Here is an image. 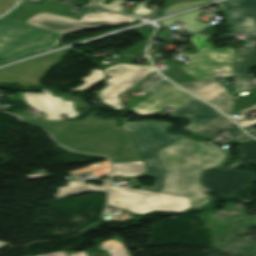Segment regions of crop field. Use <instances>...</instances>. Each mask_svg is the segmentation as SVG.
Wrapping results in <instances>:
<instances>
[{
    "instance_id": "crop-field-7",
    "label": "crop field",
    "mask_w": 256,
    "mask_h": 256,
    "mask_svg": "<svg viewBox=\"0 0 256 256\" xmlns=\"http://www.w3.org/2000/svg\"><path fill=\"white\" fill-rule=\"evenodd\" d=\"M104 70L106 75L110 76V78L106 80V88L99 90L96 93L101 102L116 110L122 109L117 96L154 71L152 66L122 63H117Z\"/></svg>"
},
{
    "instance_id": "crop-field-38",
    "label": "crop field",
    "mask_w": 256,
    "mask_h": 256,
    "mask_svg": "<svg viewBox=\"0 0 256 256\" xmlns=\"http://www.w3.org/2000/svg\"><path fill=\"white\" fill-rule=\"evenodd\" d=\"M166 82H168V81L162 80V81H160L159 83H157L155 86H153L152 88H150L148 91L153 92V91H155L156 89H158L160 86H162L163 84H165Z\"/></svg>"
},
{
    "instance_id": "crop-field-36",
    "label": "crop field",
    "mask_w": 256,
    "mask_h": 256,
    "mask_svg": "<svg viewBox=\"0 0 256 256\" xmlns=\"http://www.w3.org/2000/svg\"><path fill=\"white\" fill-rule=\"evenodd\" d=\"M97 123L99 124L98 127L91 128V129H87V130H88V131H92V130H98V129L107 128V122H106V121H97Z\"/></svg>"
},
{
    "instance_id": "crop-field-21",
    "label": "crop field",
    "mask_w": 256,
    "mask_h": 256,
    "mask_svg": "<svg viewBox=\"0 0 256 256\" xmlns=\"http://www.w3.org/2000/svg\"><path fill=\"white\" fill-rule=\"evenodd\" d=\"M240 156L236 159V163L254 162L256 163V140L253 139L247 143L240 144L238 147Z\"/></svg>"
},
{
    "instance_id": "crop-field-14",
    "label": "crop field",
    "mask_w": 256,
    "mask_h": 256,
    "mask_svg": "<svg viewBox=\"0 0 256 256\" xmlns=\"http://www.w3.org/2000/svg\"><path fill=\"white\" fill-rule=\"evenodd\" d=\"M91 180H79V181H70L68 187H60L57 189L58 193L53 195L55 198L67 197L75 194L82 193L84 191H97V192H106L109 179H101L97 181L103 182L102 186H94L92 184H85V182Z\"/></svg>"
},
{
    "instance_id": "crop-field-2",
    "label": "crop field",
    "mask_w": 256,
    "mask_h": 256,
    "mask_svg": "<svg viewBox=\"0 0 256 256\" xmlns=\"http://www.w3.org/2000/svg\"><path fill=\"white\" fill-rule=\"evenodd\" d=\"M22 121L49 131L66 148L80 152L105 154L112 162L140 160L125 129L115 128L116 120L108 119V129L88 132L98 124L93 116L82 121H47L20 117Z\"/></svg>"
},
{
    "instance_id": "crop-field-4",
    "label": "crop field",
    "mask_w": 256,
    "mask_h": 256,
    "mask_svg": "<svg viewBox=\"0 0 256 256\" xmlns=\"http://www.w3.org/2000/svg\"><path fill=\"white\" fill-rule=\"evenodd\" d=\"M126 124L143 160L150 170L141 175L146 177L153 176L156 180L153 187L147 188L141 186L140 189L161 192L165 170L161 166L156 151L175 141L182 135L166 133L165 128L170 124L164 122L139 121Z\"/></svg>"
},
{
    "instance_id": "crop-field-30",
    "label": "crop field",
    "mask_w": 256,
    "mask_h": 256,
    "mask_svg": "<svg viewBox=\"0 0 256 256\" xmlns=\"http://www.w3.org/2000/svg\"><path fill=\"white\" fill-rule=\"evenodd\" d=\"M209 36L193 35L190 39L196 50L212 47L211 42H206L205 39ZM189 40V41H190Z\"/></svg>"
},
{
    "instance_id": "crop-field-44",
    "label": "crop field",
    "mask_w": 256,
    "mask_h": 256,
    "mask_svg": "<svg viewBox=\"0 0 256 256\" xmlns=\"http://www.w3.org/2000/svg\"><path fill=\"white\" fill-rule=\"evenodd\" d=\"M253 67H256V54H255V58H254V61H253Z\"/></svg>"
},
{
    "instance_id": "crop-field-1",
    "label": "crop field",
    "mask_w": 256,
    "mask_h": 256,
    "mask_svg": "<svg viewBox=\"0 0 256 256\" xmlns=\"http://www.w3.org/2000/svg\"><path fill=\"white\" fill-rule=\"evenodd\" d=\"M157 154L166 170L162 193L189 197L191 208H199L212 197V190L198 184L202 169L221 163L224 152L203 142L179 138Z\"/></svg>"
},
{
    "instance_id": "crop-field-39",
    "label": "crop field",
    "mask_w": 256,
    "mask_h": 256,
    "mask_svg": "<svg viewBox=\"0 0 256 256\" xmlns=\"http://www.w3.org/2000/svg\"><path fill=\"white\" fill-rule=\"evenodd\" d=\"M217 77H223V76H231L234 75L233 72H224V73H214Z\"/></svg>"
},
{
    "instance_id": "crop-field-25",
    "label": "crop field",
    "mask_w": 256,
    "mask_h": 256,
    "mask_svg": "<svg viewBox=\"0 0 256 256\" xmlns=\"http://www.w3.org/2000/svg\"><path fill=\"white\" fill-rule=\"evenodd\" d=\"M161 73L176 83L195 79L179 67L161 71Z\"/></svg>"
},
{
    "instance_id": "crop-field-29",
    "label": "crop field",
    "mask_w": 256,
    "mask_h": 256,
    "mask_svg": "<svg viewBox=\"0 0 256 256\" xmlns=\"http://www.w3.org/2000/svg\"><path fill=\"white\" fill-rule=\"evenodd\" d=\"M231 100H232V98L227 92L210 103L216 105L220 110H222L224 113L228 114Z\"/></svg>"
},
{
    "instance_id": "crop-field-45",
    "label": "crop field",
    "mask_w": 256,
    "mask_h": 256,
    "mask_svg": "<svg viewBox=\"0 0 256 256\" xmlns=\"http://www.w3.org/2000/svg\"><path fill=\"white\" fill-rule=\"evenodd\" d=\"M247 133H250L251 135L255 136L256 137V131H253V132H247Z\"/></svg>"
},
{
    "instance_id": "crop-field-22",
    "label": "crop field",
    "mask_w": 256,
    "mask_h": 256,
    "mask_svg": "<svg viewBox=\"0 0 256 256\" xmlns=\"http://www.w3.org/2000/svg\"><path fill=\"white\" fill-rule=\"evenodd\" d=\"M152 28L151 27H146V28H142V29H138L136 30L137 33H139L140 35H142L145 40L136 44L135 46L124 50L123 52H121V54H131V55H135V56H145L144 54V49L145 46L151 36V32H152Z\"/></svg>"
},
{
    "instance_id": "crop-field-33",
    "label": "crop field",
    "mask_w": 256,
    "mask_h": 256,
    "mask_svg": "<svg viewBox=\"0 0 256 256\" xmlns=\"http://www.w3.org/2000/svg\"><path fill=\"white\" fill-rule=\"evenodd\" d=\"M160 78H162L160 75H158L157 73L154 74L152 77H150L149 79H147L146 81H144L142 84H140L137 87H140L142 89H147L149 86H151L153 83H155L156 81H158Z\"/></svg>"
},
{
    "instance_id": "crop-field-31",
    "label": "crop field",
    "mask_w": 256,
    "mask_h": 256,
    "mask_svg": "<svg viewBox=\"0 0 256 256\" xmlns=\"http://www.w3.org/2000/svg\"><path fill=\"white\" fill-rule=\"evenodd\" d=\"M238 91L243 92L245 90L256 87V78H242L237 79Z\"/></svg>"
},
{
    "instance_id": "crop-field-46",
    "label": "crop field",
    "mask_w": 256,
    "mask_h": 256,
    "mask_svg": "<svg viewBox=\"0 0 256 256\" xmlns=\"http://www.w3.org/2000/svg\"><path fill=\"white\" fill-rule=\"evenodd\" d=\"M162 14H163V12H162V13L155 14L153 17L159 16V15H162Z\"/></svg>"
},
{
    "instance_id": "crop-field-26",
    "label": "crop field",
    "mask_w": 256,
    "mask_h": 256,
    "mask_svg": "<svg viewBox=\"0 0 256 256\" xmlns=\"http://www.w3.org/2000/svg\"><path fill=\"white\" fill-rule=\"evenodd\" d=\"M219 84H221L219 80L216 77H213V78L179 83L178 85L187 90H191V89H197V88L208 87V86L219 85Z\"/></svg>"
},
{
    "instance_id": "crop-field-34",
    "label": "crop field",
    "mask_w": 256,
    "mask_h": 256,
    "mask_svg": "<svg viewBox=\"0 0 256 256\" xmlns=\"http://www.w3.org/2000/svg\"><path fill=\"white\" fill-rule=\"evenodd\" d=\"M17 0H0V14L7 11Z\"/></svg>"
},
{
    "instance_id": "crop-field-16",
    "label": "crop field",
    "mask_w": 256,
    "mask_h": 256,
    "mask_svg": "<svg viewBox=\"0 0 256 256\" xmlns=\"http://www.w3.org/2000/svg\"><path fill=\"white\" fill-rule=\"evenodd\" d=\"M53 3L54 2L51 0H45L43 3L38 5L22 1L21 4L13 11H11L7 16H5V18L23 22Z\"/></svg>"
},
{
    "instance_id": "crop-field-8",
    "label": "crop field",
    "mask_w": 256,
    "mask_h": 256,
    "mask_svg": "<svg viewBox=\"0 0 256 256\" xmlns=\"http://www.w3.org/2000/svg\"><path fill=\"white\" fill-rule=\"evenodd\" d=\"M184 57L195 63L181 68L197 79L213 77L214 72L233 71V49L208 48Z\"/></svg>"
},
{
    "instance_id": "crop-field-32",
    "label": "crop field",
    "mask_w": 256,
    "mask_h": 256,
    "mask_svg": "<svg viewBox=\"0 0 256 256\" xmlns=\"http://www.w3.org/2000/svg\"><path fill=\"white\" fill-rule=\"evenodd\" d=\"M150 1H152V0H146V1H143V2H139L137 4L133 14L145 17V16L149 15L150 13H152V10L146 8V6H145V4L150 2ZM136 9H139V10H136Z\"/></svg>"
},
{
    "instance_id": "crop-field-18",
    "label": "crop field",
    "mask_w": 256,
    "mask_h": 256,
    "mask_svg": "<svg viewBox=\"0 0 256 256\" xmlns=\"http://www.w3.org/2000/svg\"><path fill=\"white\" fill-rule=\"evenodd\" d=\"M254 49L255 48H238L235 62L237 77L247 76L251 65Z\"/></svg>"
},
{
    "instance_id": "crop-field-3",
    "label": "crop field",
    "mask_w": 256,
    "mask_h": 256,
    "mask_svg": "<svg viewBox=\"0 0 256 256\" xmlns=\"http://www.w3.org/2000/svg\"><path fill=\"white\" fill-rule=\"evenodd\" d=\"M62 33L0 19V58L5 61L45 50L56 45Z\"/></svg>"
},
{
    "instance_id": "crop-field-43",
    "label": "crop field",
    "mask_w": 256,
    "mask_h": 256,
    "mask_svg": "<svg viewBox=\"0 0 256 256\" xmlns=\"http://www.w3.org/2000/svg\"><path fill=\"white\" fill-rule=\"evenodd\" d=\"M255 126H256V124H254V125H252V126H249V127H246V128H244V130H245V131L253 130L252 127H255Z\"/></svg>"
},
{
    "instance_id": "crop-field-42",
    "label": "crop field",
    "mask_w": 256,
    "mask_h": 256,
    "mask_svg": "<svg viewBox=\"0 0 256 256\" xmlns=\"http://www.w3.org/2000/svg\"><path fill=\"white\" fill-rule=\"evenodd\" d=\"M68 256H85L84 252H77L75 254H68Z\"/></svg>"
},
{
    "instance_id": "crop-field-15",
    "label": "crop field",
    "mask_w": 256,
    "mask_h": 256,
    "mask_svg": "<svg viewBox=\"0 0 256 256\" xmlns=\"http://www.w3.org/2000/svg\"><path fill=\"white\" fill-rule=\"evenodd\" d=\"M219 5L226 18L256 14V0H229Z\"/></svg>"
},
{
    "instance_id": "crop-field-13",
    "label": "crop field",
    "mask_w": 256,
    "mask_h": 256,
    "mask_svg": "<svg viewBox=\"0 0 256 256\" xmlns=\"http://www.w3.org/2000/svg\"><path fill=\"white\" fill-rule=\"evenodd\" d=\"M220 114L215 108L195 98L174 111L171 115L175 117L188 116L191 119V123L185 129L193 130Z\"/></svg>"
},
{
    "instance_id": "crop-field-11",
    "label": "crop field",
    "mask_w": 256,
    "mask_h": 256,
    "mask_svg": "<svg viewBox=\"0 0 256 256\" xmlns=\"http://www.w3.org/2000/svg\"><path fill=\"white\" fill-rule=\"evenodd\" d=\"M68 51H61L49 54L30 62L10 66L0 70V78L35 83L45 73V71L55 65Z\"/></svg>"
},
{
    "instance_id": "crop-field-27",
    "label": "crop field",
    "mask_w": 256,
    "mask_h": 256,
    "mask_svg": "<svg viewBox=\"0 0 256 256\" xmlns=\"http://www.w3.org/2000/svg\"><path fill=\"white\" fill-rule=\"evenodd\" d=\"M104 0H90L87 6L105 9V10H111V11H119L120 5L124 2L122 0H113L109 3V5L103 4Z\"/></svg>"
},
{
    "instance_id": "crop-field-20",
    "label": "crop field",
    "mask_w": 256,
    "mask_h": 256,
    "mask_svg": "<svg viewBox=\"0 0 256 256\" xmlns=\"http://www.w3.org/2000/svg\"><path fill=\"white\" fill-rule=\"evenodd\" d=\"M114 176H133L146 171L142 161L114 163Z\"/></svg>"
},
{
    "instance_id": "crop-field-23",
    "label": "crop field",
    "mask_w": 256,
    "mask_h": 256,
    "mask_svg": "<svg viewBox=\"0 0 256 256\" xmlns=\"http://www.w3.org/2000/svg\"><path fill=\"white\" fill-rule=\"evenodd\" d=\"M189 92L210 102L215 98H217L218 96L225 93L226 89L223 87V85H219V86H213V87L202 88L197 90H191Z\"/></svg>"
},
{
    "instance_id": "crop-field-35",
    "label": "crop field",
    "mask_w": 256,
    "mask_h": 256,
    "mask_svg": "<svg viewBox=\"0 0 256 256\" xmlns=\"http://www.w3.org/2000/svg\"><path fill=\"white\" fill-rule=\"evenodd\" d=\"M237 134H239V135L235 138V140H238L240 142H243V141L246 142V141L252 139V138L248 137L246 134H244L242 131Z\"/></svg>"
},
{
    "instance_id": "crop-field-5",
    "label": "crop field",
    "mask_w": 256,
    "mask_h": 256,
    "mask_svg": "<svg viewBox=\"0 0 256 256\" xmlns=\"http://www.w3.org/2000/svg\"><path fill=\"white\" fill-rule=\"evenodd\" d=\"M108 204L142 214H146L155 209L182 212L187 208H190L189 200L185 197L113 185L110 187Z\"/></svg>"
},
{
    "instance_id": "crop-field-17",
    "label": "crop field",
    "mask_w": 256,
    "mask_h": 256,
    "mask_svg": "<svg viewBox=\"0 0 256 256\" xmlns=\"http://www.w3.org/2000/svg\"><path fill=\"white\" fill-rule=\"evenodd\" d=\"M233 33L256 34V15L227 19Z\"/></svg>"
},
{
    "instance_id": "crop-field-41",
    "label": "crop field",
    "mask_w": 256,
    "mask_h": 256,
    "mask_svg": "<svg viewBox=\"0 0 256 256\" xmlns=\"http://www.w3.org/2000/svg\"><path fill=\"white\" fill-rule=\"evenodd\" d=\"M246 42L249 43L248 47H255L256 46V40H246Z\"/></svg>"
},
{
    "instance_id": "crop-field-10",
    "label": "crop field",
    "mask_w": 256,
    "mask_h": 256,
    "mask_svg": "<svg viewBox=\"0 0 256 256\" xmlns=\"http://www.w3.org/2000/svg\"><path fill=\"white\" fill-rule=\"evenodd\" d=\"M192 97L168 82L131 108L137 115H146L155 113L165 106L176 108Z\"/></svg>"
},
{
    "instance_id": "crop-field-37",
    "label": "crop field",
    "mask_w": 256,
    "mask_h": 256,
    "mask_svg": "<svg viewBox=\"0 0 256 256\" xmlns=\"http://www.w3.org/2000/svg\"><path fill=\"white\" fill-rule=\"evenodd\" d=\"M2 81L12 82V83H15V84H19L21 87H26V86L34 85V84H28V83H22V82H16V81L0 79V82H2ZM37 83H35V84H37Z\"/></svg>"
},
{
    "instance_id": "crop-field-48",
    "label": "crop field",
    "mask_w": 256,
    "mask_h": 256,
    "mask_svg": "<svg viewBox=\"0 0 256 256\" xmlns=\"http://www.w3.org/2000/svg\"><path fill=\"white\" fill-rule=\"evenodd\" d=\"M201 22L197 23L198 25L200 24Z\"/></svg>"
},
{
    "instance_id": "crop-field-6",
    "label": "crop field",
    "mask_w": 256,
    "mask_h": 256,
    "mask_svg": "<svg viewBox=\"0 0 256 256\" xmlns=\"http://www.w3.org/2000/svg\"><path fill=\"white\" fill-rule=\"evenodd\" d=\"M108 13L110 15H108ZM130 21H135V19L117 13L102 12L87 8L80 20L40 12L24 23L67 34L86 28L115 26Z\"/></svg>"
},
{
    "instance_id": "crop-field-9",
    "label": "crop field",
    "mask_w": 256,
    "mask_h": 256,
    "mask_svg": "<svg viewBox=\"0 0 256 256\" xmlns=\"http://www.w3.org/2000/svg\"><path fill=\"white\" fill-rule=\"evenodd\" d=\"M256 177L249 171L238 172L229 168L206 170L201 177L202 185L221 195H231L244 189L247 182Z\"/></svg>"
},
{
    "instance_id": "crop-field-28",
    "label": "crop field",
    "mask_w": 256,
    "mask_h": 256,
    "mask_svg": "<svg viewBox=\"0 0 256 256\" xmlns=\"http://www.w3.org/2000/svg\"><path fill=\"white\" fill-rule=\"evenodd\" d=\"M93 73H96L93 75ZM104 77L102 70L93 69L88 77L82 78V80L85 81V83L79 87L70 89V90H80V89H86L92 85H94L97 81L102 79Z\"/></svg>"
},
{
    "instance_id": "crop-field-12",
    "label": "crop field",
    "mask_w": 256,
    "mask_h": 256,
    "mask_svg": "<svg viewBox=\"0 0 256 256\" xmlns=\"http://www.w3.org/2000/svg\"><path fill=\"white\" fill-rule=\"evenodd\" d=\"M43 93H23L27 105L41 110L46 115L45 118L51 120L61 119L60 113H66L68 117L77 116V112L71 107V101H62L53 97L49 91L41 89ZM44 109H41V108Z\"/></svg>"
},
{
    "instance_id": "crop-field-47",
    "label": "crop field",
    "mask_w": 256,
    "mask_h": 256,
    "mask_svg": "<svg viewBox=\"0 0 256 256\" xmlns=\"http://www.w3.org/2000/svg\"><path fill=\"white\" fill-rule=\"evenodd\" d=\"M4 244V242H0V248L3 247L2 245Z\"/></svg>"
},
{
    "instance_id": "crop-field-40",
    "label": "crop field",
    "mask_w": 256,
    "mask_h": 256,
    "mask_svg": "<svg viewBox=\"0 0 256 256\" xmlns=\"http://www.w3.org/2000/svg\"><path fill=\"white\" fill-rule=\"evenodd\" d=\"M37 256H65L63 252H56L52 254H46V255H37Z\"/></svg>"
},
{
    "instance_id": "crop-field-24",
    "label": "crop field",
    "mask_w": 256,
    "mask_h": 256,
    "mask_svg": "<svg viewBox=\"0 0 256 256\" xmlns=\"http://www.w3.org/2000/svg\"><path fill=\"white\" fill-rule=\"evenodd\" d=\"M99 248L107 250L110 256H128L121 243L113 239L103 241Z\"/></svg>"
},
{
    "instance_id": "crop-field-19",
    "label": "crop field",
    "mask_w": 256,
    "mask_h": 256,
    "mask_svg": "<svg viewBox=\"0 0 256 256\" xmlns=\"http://www.w3.org/2000/svg\"><path fill=\"white\" fill-rule=\"evenodd\" d=\"M231 124V120H229L224 115H220L206 122L202 126L195 129L194 131L214 136L219 129L227 130Z\"/></svg>"
}]
</instances>
